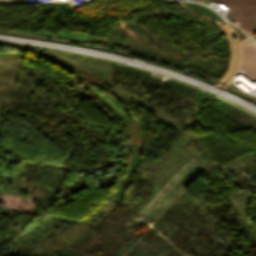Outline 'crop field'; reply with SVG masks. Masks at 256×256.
Returning <instances> with one entry per match:
<instances>
[{
    "mask_svg": "<svg viewBox=\"0 0 256 256\" xmlns=\"http://www.w3.org/2000/svg\"><path fill=\"white\" fill-rule=\"evenodd\" d=\"M231 10L228 18L249 34L256 31V0H218Z\"/></svg>",
    "mask_w": 256,
    "mask_h": 256,
    "instance_id": "1",
    "label": "crop field"
},
{
    "mask_svg": "<svg viewBox=\"0 0 256 256\" xmlns=\"http://www.w3.org/2000/svg\"><path fill=\"white\" fill-rule=\"evenodd\" d=\"M241 46L242 61L240 68L245 71L242 75L253 83L256 81V44L248 39L241 43Z\"/></svg>",
    "mask_w": 256,
    "mask_h": 256,
    "instance_id": "2",
    "label": "crop field"
},
{
    "mask_svg": "<svg viewBox=\"0 0 256 256\" xmlns=\"http://www.w3.org/2000/svg\"><path fill=\"white\" fill-rule=\"evenodd\" d=\"M13 1H26V0H0V2H13Z\"/></svg>",
    "mask_w": 256,
    "mask_h": 256,
    "instance_id": "3",
    "label": "crop field"
}]
</instances>
